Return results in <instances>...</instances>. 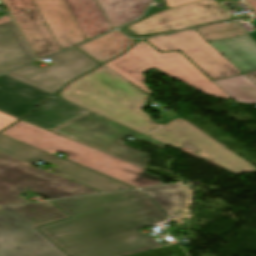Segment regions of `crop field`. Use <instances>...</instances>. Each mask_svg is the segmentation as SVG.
<instances>
[{"mask_svg": "<svg viewBox=\"0 0 256 256\" xmlns=\"http://www.w3.org/2000/svg\"><path fill=\"white\" fill-rule=\"evenodd\" d=\"M197 30L207 41L245 34L234 22L210 25Z\"/></svg>", "mask_w": 256, "mask_h": 256, "instance_id": "obj_25", "label": "crop field"}, {"mask_svg": "<svg viewBox=\"0 0 256 256\" xmlns=\"http://www.w3.org/2000/svg\"><path fill=\"white\" fill-rule=\"evenodd\" d=\"M34 61L12 21L0 24V73Z\"/></svg>", "mask_w": 256, "mask_h": 256, "instance_id": "obj_16", "label": "crop field"}, {"mask_svg": "<svg viewBox=\"0 0 256 256\" xmlns=\"http://www.w3.org/2000/svg\"><path fill=\"white\" fill-rule=\"evenodd\" d=\"M51 131L88 144L143 168H145L148 155L123 145L121 138L135 136L162 148L165 147V144L149 136L93 112H89Z\"/></svg>", "mask_w": 256, "mask_h": 256, "instance_id": "obj_6", "label": "crop field"}, {"mask_svg": "<svg viewBox=\"0 0 256 256\" xmlns=\"http://www.w3.org/2000/svg\"><path fill=\"white\" fill-rule=\"evenodd\" d=\"M56 96L144 134L159 128L140 110L148 96L103 66Z\"/></svg>", "mask_w": 256, "mask_h": 256, "instance_id": "obj_2", "label": "crop field"}, {"mask_svg": "<svg viewBox=\"0 0 256 256\" xmlns=\"http://www.w3.org/2000/svg\"><path fill=\"white\" fill-rule=\"evenodd\" d=\"M17 119L12 118L8 115H5L3 113H0V130L8 127L12 123H14ZM18 121V120H17Z\"/></svg>", "mask_w": 256, "mask_h": 256, "instance_id": "obj_26", "label": "crop field"}, {"mask_svg": "<svg viewBox=\"0 0 256 256\" xmlns=\"http://www.w3.org/2000/svg\"><path fill=\"white\" fill-rule=\"evenodd\" d=\"M51 58L57 63L42 69L31 64L6 75L52 94L66 82L99 64L75 48Z\"/></svg>", "mask_w": 256, "mask_h": 256, "instance_id": "obj_11", "label": "crop field"}, {"mask_svg": "<svg viewBox=\"0 0 256 256\" xmlns=\"http://www.w3.org/2000/svg\"><path fill=\"white\" fill-rule=\"evenodd\" d=\"M147 135L177 149L184 146V140H186L200 150L194 154L205 160L213 161L235 174L256 171L255 166L228 148L220 147V143L180 117Z\"/></svg>", "mask_w": 256, "mask_h": 256, "instance_id": "obj_7", "label": "crop field"}, {"mask_svg": "<svg viewBox=\"0 0 256 256\" xmlns=\"http://www.w3.org/2000/svg\"><path fill=\"white\" fill-rule=\"evenodd\" d=\"M0 256H67L10 206L0 208Z\"/></svg>", "mask_w": 256, "mask_h": 256, "instance_id": "obj_8", "label": "crop field"}, {"mask_svg": "<svg viewBox=\"0 0 256 256\" xmlns=\"http://www.w3.org/2000/svg\"><path fill=\"white\" fill-rule=\"evenodd\" d=\"M245 75L256 84V71L245 73Z\"/></svg>", "mask_w": 256, "mask_h": 256, "instance_id": "obj_29", "label": "crop field"}, {"mask_svg": "<svg viewBox=\"0 0 256 256\" xmlns=\"http://www.w3.org/2000/svg\"><path fill=\"white\" fill-rule=\"evenodd\" d=\"M0 134L53 155H57V151L63 152L69 155L66 157L68 160L135 187L163 184L158 176L152 175L139 167L37 128L22 120Z\"/></svg>", "mask_w": 256, "mask_h": 256, "instance_id": "obj_3", "label": "crop field"}, {"mask_svg": "<svg viewBox=\"0 0 256 256\" xmlns=\"http://www.w3.org/2000/svg\"><path fill=\"white\" fill-rule=\"evenodd\" d=\"M34 226L58 221L67 216L53 206L50 201L11 206Z\"/></svg>", "mask_w": 256, "mask_h": 256, "instance_id": "obj_23", "label": "crop field"}, {"mask_svg": "<svg viewBox=\"0 0 256 256\" xmlns=\"http://www.w3.org/2000/svg\"><path fill=\"white\" fill-rule=\"evenodd\" d=\"M33 1L50 27L62 50L86 40L63 0Z\"/></svg>", "mask_w": 256, "mask_h": 256, "instance_id": "obj_14", "label": "crop field"}, {"mask_svg": "<svg viewBox=\"0 0 256 256\" xmlns=\"http://www.w3.org/2000/svg\"><path fill=\"white\" fill-rule=\"evenodd\" d=\"M10 20H11V18L9 17V15H3V16L0 17V23L7 22V21H10Z\"/></svg>", "mask_w": 256, "mask_h": 256, "instance_id": "obj_30", "label": "crop field"}, {"mask_svg": "<svg viewBox=\"0 0 256 256\" xmlns=\"http://www.w3.org/2000/svg\"><path fill=\"white\" fill-rule=\"evenodd\" d=\"M30 44L37 59L61 51L32 0H3ZM31 12L24 13L23 10Z\"/></svg>", "mask_w": 256, "mask_h": 256, "instance_id": "obj_13", "label": "crop field"}, {"mask_svg": "<svg viewBox=\"0 0 256 256\" xmlns=\"http://www.w3.org/2000/svg\"><path fill=\"white\" fill-rule=\"evenodd\" d=\"M160 207H162L173 219L184 215L189 204L186 191L180 184L143 189Z\"/></svg>", "mask_w": 256, "mask_h": 256, "instance_id": "obj_21", "label": "crop field"}, {"mask_svg": "<svg viewBox=\"0 0 256 256\" xmlns=\"http://www.w3.org/2000/svg\"><path fill=\"white\" fill-rule=\"evenodd\" d=\"M161 52L180 50L210 79L229 77L242 72L209 45L194 30L146 39Z\"/></svg>", "mask_w": 256, "mask_h": 256, "instance_id": "obj_10", "label": "crop field"}, {"mask_svg": "<svg viewBox=\"0 0 256 256\" xmlns=\"http://www.w3.org/2000/svg\"><path fill=\"white\" fill-rule=\"evenodd\" d=\"M134 40L127 38L119 31H113L90 43L78 46L80 49L104 63L112 57L123 53L134 44Z\"/></svg>", "mask_w": 256, "mask_h": 256, "instance_id": "obj_22", "label": "crop field"}, {"mask_svg": "<svg viewBox=\"0 0 256 256\" xmlns=\"http://www.w3.org/2000/svg\"><path fill=\"white\" fill-rule=\"evenodd\" d=\"M52 202L70 219L38 229L69 256H122L161 246L151 236L135 231L168 219L140 191Z\"/></svg>", "mask_w": 256, "mask_h": 256, "instance_id": "obj_1", "label": "crop field"}, {"mask_svg": "<svg viewBox=\"0 0 256 256\" xmlns=\"http://www.w3.org/2000/svg\"><path fill=\"white\" fill-rule=\"evenodd\" d=\"M248 34L256 41V32H249Z\"/></svg>", "mask_w": 256, "mask_h": 256, "instance_id": "obj_33", "label": "crop field"}, {"mask_svg": "<svg viewBox=\"0 0 256 256\" xmlns=\"http://www.w3.org/2000/svg\"><path fill=\"white\" fill-rule=\"evenodd\" d=\"M49 96L42 90L6 75L0 76V110L3 112L20 118Z\"/></svg>", "mask_w": 256, "mask_h": 256, "instance_id": "obj_15", "label": "crop field"}, {"mask_svg": "<svg viewBox=\"0 0 256 256\" xmlns=\"http://www.w3.org/2000/svg\"><path fill=\"white\" fill-rule=\"evenodd\" d=\"M87 40L110 30L94 0H64Z\"/></svg>", "mask_w": 256, "mask_h": 256, "instance_id": "obj_19", "label": "crop field"}, {"mask_svg": "<svg viewBox=\"0 0 256 256\" xmlns=\"http://www.w3.org/2000/svg\"><path fill=\"white\" fill-rule=\"evenodd\" d=\"M87 112L89 111L54 96L39 105L36 110L23 120L51 130Z\"/></svg>", "mask_w": 256, "mask_h": 256, "instance_id": "obj_17", "label": "crop field"}, {"mask_svg": "<svg viewBox=\"0 0 256 256\" xmlns=\"http://www.w3.org/2000/svg\"><path fill=\"white\" fill-rule=\"evenodd\" d=\"M218 1H222V0H216V2H218Z\"/></svg>", "mask_w": 256, "mask_h": 256, "instance_id": "obj_34", "label": "crop field"}, {"mask_svg": "<svg viewBox=\"0 0 256 256\" xmlns=\"http://www.w3.org/2000/svg\"><path fill=\"white\" fill-rule=\"evenodd\" d=\"M157 111L160 113L161 117H163V118L166 119L165 121L159 123V125H161V126H163V125L166 124L167 122L171 121L172 119L178 117V115H176V114H175L174 112H172V111L167 112V113H163V112H161V111H159V110H157Z\"/></svg>", "mask_w": 256, "mask_h": 256, "instance_id": "obj_27", "label": "crop field"}, {"mask_svg": "<svg viewBox=\"0 0 256 256\" xmlns=\"http://www.w3.org/2000/svg\"><path fill=\"white\" fill-rule=\"evenodd\" d=\"M105 66L149 95L152 92L143 84L144 76L142 73L155 67L210 96L230 98L180 52L161 54L145 41H141L123 57Z\"/></svg>", "mask_w": 256, "mask_h": 256, "instance_id": "obj_4", "label": "crop field"}, {"mask_svg": "<svg viewBox=\"0 0 256 256\" xmlns=\"http://www.w3.org/2000/svg\"><path fill=\"white\" fill-rule=\"evenodd\" d=\"M208 43L242 72L256 70V44L246 35Z\"/></svg>", "mask_w": 256, "mask_h": 256, "instance_id": "obj_18", "label": "crop field"}, {"mask_svg": "<svg viewBox=\"0 0 256 256\" xmlns=\"http://www.w3.org/2000/svg\"><path fill=\"white\" fill-rule=\"evenodd\" d=\"M0 152L30 164L40 159L55 164L59 167L53 170V173L103 192L131 188L113 179L89 171L2 135H0Z\"/></svg>", "mask_w": 256, "mask_h": 256, "instance_id": "obj_12", "label": "crop field"}, {"mask_svg": "<svg viewBox=\"0 0 256 256\" xmlns=\"http://www.w3.org/2000/svg\"><path fill=\"white\" fill-rule=\"evenodd\" d=\"M256 12V0H246Z\"/></svg>", "mask_w": 256, "mask_h": 256, "instance_id": "obj_31", "label": "crop field"}, {"mask_svg": "<svg viewBox=\"0 0 256 256\" xmlns=\"http://www.w3.org/2000/svg\"><path fill=\"white\" fill-rule=\"evenodd\" d=\"M213 82L236 102L256 103V85L245 75Z\"/></svg>", "mask_w": 256, "mask_h": 256, "instance_id": "obj_24", "label": "crop field"}, {"mask_svg": "<svg viewBox=\"0 0 256 256\" xmlns=\"http://www.w3.org/2000/svg\"><path fill=\"white\" fill-rule=\"evenodd\" d=\"M113 28L128 23L143 13L151 0H96Z\"/></svg>", "mask_w": 256, "mask_h": 256, "instance_id": "obj_20", "label": "crop field"}, {"mask_svg": "<svg viewBox=\"0 0 256 256\" xmlns=\"http://www.w3.org/2000/svg\"><path fill=\"white\" fill-rule=\"evenodd\" d=\"M193 1H197V0H166V3L168 7L171 8V7H175V6L186 4Z\"/></svg>", "mask_w": 256, "mask_h": 256, "instance_id": "obj_28", "label": "crop field"}, {"mask_svg": "<svg viewBox=\"0 0 256 256\" xmlns=\"http://www.w3.org/2000/svg\"><path fill=\"white\" fill-rule=\"evenodd\" d=\"M231 18L214 0H201L155 13L127 28L143 35L184 29Z\"/></svg>", "mask_w": 256, "mask_h": 256, "instance_id": "obj_9", "label": "crop field"}, {"mask_svg": "<svg viewBox=\"0 0 256 256\" xmlns=\"http://www.w3.org/2000/svg\"><path fill=\"white\" fill-rule=\"evenodd\" d=\"M119 30H121L122 32L126 33L129 36L132 37H136V35H134L133 33H131L130 31H128L127 29H125L124 27L120 28Z\"/></svg>", "mask_w": 256, "mask_h": 256, "instance_id": "obj_32", "label": "crop field"}, {"mask_svg": "<svg viewBox=\"0 0 256 256\" xmlns=\"http://www.w3.org/2000/svg\"><path fill=\"white\" fill-rule=\"evenodd\" d=\"M27 190L49 198L97 192L0 153V206L27 202L17 197Z\"/></svg>", "mask_w": 256, "mask_h": 256, "instance_id": "obj_5", "label": "crop field"}]
</instances>
